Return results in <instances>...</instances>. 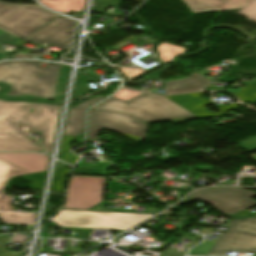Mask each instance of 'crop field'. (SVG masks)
Listing matches in <instances>:
<instances>
[{"instance_id":"22f410ed","label":"crop field","mask_w":256,"mask_h":256,"mask_svg":"<svg viewBox=\"0 0 256 256\" xmlns=\"http://www.w3.org/2000/svg\"><path fill=\"white\" fill-rule=\"evenodd\" d=\"M193 12L242 9L253 0H184Z\"/></svg>"},{"instance_id":"e52e79f7","label":"crop field","mask_w":256,"mask_h":256,"mask_svg":"<svg viewBox=\"0 0 256 256\" xmlns=\"http://www.w3.org/2000/svg\"><path fill=\"white\" fill-rule=\"evenodd\" d=\"M228 251L255 252L256 256V216L232 222L208 255L226 256Z\"/></svg>"},{"instance_id":"0bd39190","label":"crop field","mask_w":256,"mask_h":256,"mask_svg":"<svg viewBox=\"0 0 256 256\" xmlns=\"http://www.w3.org/2000/svg\"><path fill=\"white\" fill-rule=\"evenodd\" d=\"M35 56L28 55V54H18L13 56L12 58H34Z\"/></svg>"},{"instance_id":"3316defc","label":"crop field","mask_w":256,"mask_h":256,"mask_svg":"<svg viewBox=\"0 0 256 256\" xmlns=\"http://www.w3.org/2000/svg\"><path fill=\"white\" fill-rule=\"evenodd\" d=\"M74 24L75 22L60 16L27 40L43 45L49 43L68 50Z\"/></svg>"},{"instance_id":"733c2abd","label":"crop field","mask_w":256,"mask_h":256,"mask_svg":"<svg viewBox=\"0 0 256 256\" xmlns=\"http://www.w3.org/2000/svg\"><path fill=\"white\" fill-rule=\"evenodd\" d=\"M44 5L59 12L80 11L84 8L85 0H40Z\"/></svg>"},{"instance_id":"5142ce71","label":"crop field","mask_w":256,"mask_h":256,"mask_svg":"<svg viewBox=\"0 0 256 256\" xmlns=\"http://www.w3.org/2000/svg\"><path fill=\"white\" fill-rule=\"evenodd\" d=\"M25 174L31 173L0 161V210L14 211L10 206L12 197L2 193V191L9 178Z\"/></svg>"},{"instance_id":"bd1437ed","label":"crop field","mask_w":256,"mask_h":256,"mask_svg":"<svg viewBox=\"0 0 256 256\" xmlns=\"http://www.w3.org/2000/svg\"><path fill=\"white\" fill-rule=\"evenodd\" d=\"M139 94L141 93L121 88L114 97L127 101Z\"/></svg>"},{"instance_id":"d8731c3e","label":"crop field","mask_w":256,"mask_h":256,"mask_svg":"<svg viewBox=\"0 0 256 256\" xmlns=\"http://www.w3.org/2000/svg\"><path fill=\"white\" fill-rule=\"evenodd\" d=\"M255 195V193L238 188H212L195 192L190 197L208 203L212 202L215 209L224 214H234L255 206L256 202L250 199Z\"/></svg>"},{"instance_id":"eef30255","label":"crop field","mask_w":256,"mask_h":256,"mask_svg":"<svg viewBox=\"0 0 256 256\" xmlns=\"http://www.w3.org/2000/svg\"><path fill=\"white\" fill-rule=\"evenodd\" d=\"M46 172L47 171L41 172V173H36V174H31V175H28V176H26L24 178L28 179V180H32L33 178H36L35 180H32L34 182L29 187L41 190L42 186H43V182H44L45 176H46Z\"/></svg>"},{"instance_id":"e1f06a70","label":"crop field","mask_w":256,"mask_h":256,"mask_svg":"<svg viewBox=\"0 0 256 256\" xmlns=\"http://www.w3.org/2000/svg\"><path fill=\"white\" fill-rule=\"evenodd\" d=\"M26 236L25 235H14L13 236V238H12V242H22L23 243V245H24V248H23V251L22 252H24V250H25V247H26V245H25V241H26Z\"/></svg>"},{"instance_id":"cbeb9de0","label":"crop field","mask_w":256,"mask_h":256,"mask_svg":"<svg viewBox=\"0 0 256 256\" xmlns=\"http://www.w3.org/2000/svg\"><path fill=\"white\" fill-rule=\"evenodd\" d=\"M102 99L104 98L98 97L89 100L76 108L70 109L64 135L78 136L80 132L84 130V115L86 109Z\"/></svg>"},{"instance_id":"214f88e0","label":"crop field","mask_w":256,"mask_h":256,"mask_svg":"<svg viewBox=\"0 0 256 256\" xmlns=\"http://www.w3.org/2000/svg\"><path fill=\"white\" fill-rule=\"evenodd\" d=\"M69 71H70V68L68 66L61 67L53 100L62 102Z\"/></svg>"},{"instance_id":"4177f3b9","label":"crop field","mask_w":256,"mask_h":256,"mask_svg":"<svg viewBox=\"0 0 256 256\" xmlns=\"http://www.w3.org/2000/svg\"><path fill=\"white\" fill-rule=\"evenodd\" d=\"M120 4L121 2L117 0H95L92 11L103 14L106 7L111 6L117 8Z\"/></svg>"},{"instance_id":"5a996713","label":"crop field","mask_w":256,"mask_h":256,"mask_svg":"<svg viewBox=\"0 0 256 256\" xmlns=\"http://www.w3.org/2000/svg\"><path fill=\"white\" fill-rule=\"evenodd\" d=\"M105 178L72 176L63 208L88 209L102 201Z\"/></svg>"},{"instance_id":"f4fd0767","label":"crop field","mask_w":256,"mask_h":256,"mask_svg":"<svg viewBox=\"0 0 256 256\" xmlns=\"http://www.w3.org/2000/svg\"><path fill=\"white\" fill-rule=\"evenodd\" d=\"M153 215L61 210L50 222L57 226L126 230Z\"/></svg>"},{"instance_id":"92a150f3","label":"crop field","mask_w":256,"mask_h":256,"mask_svg":"<svg viewBox=\"0 0 256 256\" xmlns=\"http://www.w3.org/2000/svg\"><path fill=\"white\" fill-rule=\"evenodd\" d=\"M158 50L160 52V57H161L162 61L168 63V62L172 61V59L175 56L182 53L185 49L164 43V44L158 46Z\"/></svg>"},{"instance_id":"bc2a9ffb","label":"crop field","mask_w":256,"mask_h":256,"mask_svg":"<svg viewBox=\"0 0 256 256\" xmlns=\"http://www.w3.org/2000/svg\"><path fill=\"white\" fill-rule=\"evenodd\" d=\"M75 138H78V140H75ZM74 140L77 141L78 144H82V137L64 136L63 142H62V147H61V152H60V156H59L60 159L66 161L70 164L75 163V161L78 157L69 151L71 144H68V142H72Z\"/></svg>"},{"instance_id":"d1516ede","label":"crop field","mask_w":256,"mask_h":256,"mask_svg":"<svg viewBox=\"0 0 256 256\" xmlns=\"http://www.w3.org/2000/svg\"><path fill=\"white\" fill-rule=\"evenodd\" d=\"M0 159L32 173L47 170L49 157L37 153H0Z\"/></svg>"},{"instance_id":"1d83c4d3","label":"crop field","mask_w":256,"mask_h":256,"mask_svg":"<svg viewBox=\"0 0 256 256\" xmlns=\"http://www.w3.org/2000/svg\"><path fill=\"white\" fill-rule=\"evenodd\" d=\"M11 236H1L0 237V256H18V252H7L5 255L6 247L5 245L9 243Z\"/></svg>"},{"instance_id":"dafd665d","label":"crop field","mask_w":256,"mask_h":256,"mask_svg":"<svg viewBox=\"0 0 256 256\" xmlns=\"http://www.w3.org/2000/svg\"><path fill=\"white\" fill-rule=\"evenodd\" d=\"M88 77L89 76L87 74L83 73L82 71H79L72 99L91 90L88 85V82H89Z\"/></svg>"},{"instance_id":"c035e120","label":"crop field","mask_w":256,"mask_h":256,"mask_svg":"<svg viewBox=\"0 0 256 256\" xmlns=\"http://www.w3.org/2000/svg\"><path fill=\"white\" fill-rule=\"evenodd\" d=\"M200 233V232H199ZM201 233H213V229L212 228H205L201 231Z\"/></svg>"},{"instance_id":"a9b5d70f","label":"crop field","mask_w":256,"mask_h":256,"mask_svg":"<svg viewBox=\"0 0 256 256\" xmlns=\"http://www.w3.org/2000/svg\"><path fill=\"white\" fill-rule=\"evenodd\" d=\"M236 95L242 102H251L256 99V81L237 92Z\"/></svg>"},{"instance_id":"ae1a2a85","label":"crop field","mask_w":256,"mask_h":256,"mask_svg":"<svg viewBox=\"0 0 256 256\" xmlns=\"http://www.w3.org/2000/svg\"><path fill=\"white\" fill-rule=\"evenodd\" d=\"M108 202H104L103 204L91 209V210H98V211H114V212H131V213H136L135 211H127V210H117V209H105L104 206L107 205ZM162 210L160 209H157L155 207H153L152 209L151 208H148L146 207L145 208V211L144 213H147V214H156L158 212H160Z\"/></svg>"},{"instance_id":"730fd06b","label":"crop field","mask_w":256,"mask_h":256,"mask_svg":"<svg viewBox=\"0 0 256 256\" xmlns=\"http://www.w3.org/2000/svg\"><path fill=\"white\" fill-rule=\"evenodd\" d=\"M237 14L256 22V0L239 11Z\"/></svg>"},{"instance_id":"412701ff","label":"crop field","mask_w":256,"mask_h":256,"mask_svg":"<svg viewBox=\"0 0 256 256\" xmlns=\"http://www.w3.org/2000/svg\"><path fill=\"white\" fill-rule=\"evenodd\" d=\"M58 16L38 5L10 4L0 1V29L23 40Z\"/></svg>"},{"instance_id":"4a817a6b","label":"crop field","mask_w":256,"mask_h":256,"mask_svg":"<svg viewBox=\"0 0 256 256\" xmlns=\"http://www.w3.org/2000/svg\"><path fill=\"white\" fill-rule=\"evenodd\" d=\"M36 213H5L0 212L4 224L33 226Z\"/></svg>"},{"instance_id":"750c4746","label":"crop field","mask_w":256,"mask_h":256,"mask_svg":"<svg viewBox=\"0 0 256 256\" xmlns=\"http://www.w3.org/2000/svg\"><path fill=\"white\" fill-rule=\"evenodd\" d=\"M105 168L77 167L74 174L103 175Z\"/></svg>"},{"instance_id":"120bbe31","label":"crop field","mask_w":256,"mask_h":256,"mask_svg":"<svg viewBox=\"0 0 256 256\" xmlns=\"http://www.w3.org/2000/svg\"><path fill=\"white\" fill-rule=\"evenodd\" d=\"M145 37H146V35H142V36H139V37L130 36V37L124 39L123 41L117 43V44L114 45V46H117V45H119V44H123L125 41H130V42H132V44H134V45H137V44L141 45L142 43H144L145 41H147V40L145 39ZM147 37H149V36H147ZM150 38H151V37H149V39H150ZM139 41H141V43H139ZM114 46H112V47H110V48L114 49V48H115ZM125 46H126V45H125ZM113 47H114V48H113ZM122 47H124V46H122ZM122 47H120V48H122ZM120 48H118V49H120ZM114 50H115V49H114Z\"/></svg>"},{"instance_id":"8a807250","label":"crop field","mask_w":256,"mask_h":256,"mask_svg":"<svg viewBox=\"0 0 256 256\" xmlns=\"http://www.w3.org/2000/svg\"><path fill=\"white\" fill-rule=\"evenodd\" d=\"M31 108L34 111L30 114ZM59 111L60 106L50 104L0 100V151H42L27 133L16 127V124H27L32 132L41 131L43 147L50 153Z\"/></svg>"},{"instance_id":"28ad6ade","label":"crop field","mask_w":256,"mask_h":256,"mask_svg":"<svg viewBox=\"0 0 256 256\" xmlns=\"http://www.w3.org/2000/svg\"><path fill=\"white\" fill-rule=\"evenodd\" d=\"M200 95L201 93L181 94L175 96H168V98L173 100L180 106L184 107L188 111L192 112L197 117H210L224 113L229 110H238V104L221 105L218 106L219 112L217 114H213L204 108L205 104H212L209 98H202L200 97Z\"/></svg>"},{"instance_id":"b80d0937","label":"crop field","mask_w":256,"mask_h":256,"mask_svg":"<svg viewBox=\"0 0 256 256\" xmlns=\"http://www.w3.org/2000/svg\"><path fill=\"white\" fill-rule=\"evenodd\" d=\"M102 165H104V167H107V166H108V164H107V163L94 164V165H80V166L103 167Z\"/></svg>"},{"instance_id":"028f5c9d","label":"crop field","mask_w":256,"mask_h":256,"mask_svg":"<svg viewBox=\"0 0 256 256\" xmlns=\"http://www.w3.org/2000/svg\"><path fill=\"white\" fill-rule=\"evenodd\" d=\"M231 216L236 219H241V218H247V217L253 216V214L250 213L249 211L245 210L243 212H240V213H237V214H234Z\"/></svg>"},{"instance_id":"34b2d1b8","label":"crop field","mask_w":256,"mask_h":256,"mask_svg":"<svg viewBox=\"0 0 256 256\" xmlns=\"http://www.w3.org/2000/svg\"><path fill=\"white\" fill-rule=\"evenodd\" d=\"M92 109L132 115L143 122L169 120L175 124L196 118L195 115L166 97L145 93L127 102L112 97Z\"/></svg>"},{"instance_id":"5866460e","label":"crop field","mask_w":256,"mask_h":256,"mask_svg":"<svg viewBox=\"0 0 256 256\" xmlns=\"http://www.w3.org/2000/svg\"><path fill=\"white\" fill-rule=\"evenodd\" d=\"M239 145L244 148L247 152L256 149V138L247 140L245 142L239 143Z\"/></svg>"},{"instance_id":"dd49c442","label":"crop field","mask_w":256,"mask_h":256,"mask_svg":"<svg viewBox=\"0 0 256 256\" xmlns=\"http://www.w3.org/2000/svg\"><path fill=\"white\" fill-rule=\"evenodd\" d=\"M88 118L89 141H94L98 130L103 128L122 134L138 144L146 138V125L131 116L90 110Z\"/></svg>"},{"instance_id":"c21b1889","label":"crop field","mask_w":256,"mask_h":256,"mask_svg":"<svg viewBox=\"0 0 256 256\" xmlns=\"http://www.w3.org/2000/svg\"><path fill=\"white\" fill-rule=\"evenodd\" d=\"M95 65H107L106 62L94 63Z\"/></svg>"},{"instance_id":"d32e631a","label":"crop field","mask_w":256,"mask_h":256,"mask_svg":"<svg viewBox=\"0 0 256 256\" xmlns=\"http://www.w3.org/2000/svg\"><path fill=\"white\" fill-rule=\"evenodd\" d=\"M120 70L123 72V74L127 77L128 80L136 77L137 75L147 71V70H144V69H129V68H122V67H119Z\"/></svg>"},{"instance_id":"d9b57169","label":"crop field","mask_w":256,"mask_h":256,"mask_svg":"<svg viewBox=\"0 0 256 256\" xmlns=\"http://www.w3.org/2000/svg\"><path fill=\"white\" fill-rule=\"evenodd\" d=\"M211 81L199 74H193L183 80L166 82V94L182 93L203 89Z\"/></svg>"},{"instance_id":"ac0d7876","label":"crop field","mask_w":256,"mask_h":256,"mask_svg":"<svg viewBox=\"0 0 256 256\" xmlns=\"http://www.w3.org/2000/svg\"><path fill=\"white\" fill-rule=\"evenodd\" d=\"M39 61L0 63V82L10 84L6 96L32 95L52 100L61 64L51 63L47 68L37 66ZM39 75H42L40 78Z\"/></svg>"},{"instance_id":"d3111659","label":"crop field","mask_w":256,"mask_h":256,"mask_svg":"<svg viewBox=\"0 0 256 256\" xmlns=\"http://www.w3.org/2000/svg\"><path fill=\"white\" fill-rule=\"evenodd\" d=\"M0 43H9V44L16 45L19 42H18V38H15L0 30ZM6 56H8V54L0 53V59H3Z\"/></svg>"},{"instance_id":"00972430","label":"crop field","mask_w":256,"mask_h":256,"mask_svg":"<svg viewBox=\"0 0 256 256\" xmlns=\"http://www.w3.org/2000/svg\"><path fill=\"white\" fill-rule=\"evenodd\" d=\"M71 168L58 169L55 172L51 190L63 191L66 176L69 174Z\"/></svg>"}]
</instances>
